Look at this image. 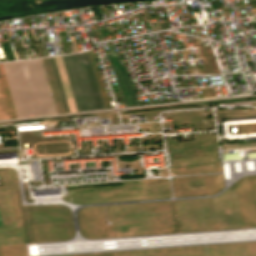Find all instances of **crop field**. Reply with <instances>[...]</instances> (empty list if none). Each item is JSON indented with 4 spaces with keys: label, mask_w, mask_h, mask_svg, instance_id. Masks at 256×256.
Masks as SVG:
<instances>
[{
    "label": "crop field",
    "mask_w": 256,
    "mask_h": 256,
    "mask_svg": "<svg viewBox=\"0 0 256 256\" xmlns=\"http://www.w3.org/2000/svg\"><path fill=\"white\" fill-rule=\"evenodd\" d=\"M0 72L2 76V78H0V87H1L5 104L8 110L9 117L10 118L17 117L1 64H0Z\"/></svg>",
    "instance_id": "f4fd0767"
},
{
    "label": "crop field",
    "mask_w": 256,
    "mask_h": 256,
    "mask_svg": "<svg viewBox=\"0 0 256 256\" xmlns=\"http://www.w3.org/2000/svg\"><path fill=\"white\" fill-rule=\"evenodd\" d=\"M106 43L110 52V55H107V56L110 61L111 67L113 69V72H114L117 84L119 86L120 92L122 94V97L124 99L125 105L126 106L140 105L135 96L131 81L126 73V70L124 66L121 65L118 61L117 55L114 51V47L110 46L109 42H106Z\"/></svg>",
    "instance_id": "ac0d7876"
},
{
    "label": "crop field",
    "mask_w": 256,
    "mask_h": 256,
    "mask_svg": "<svg viewBox=\"0 0 256 256\" xmlns=\"http://www.w3.org/2000/svg\"><path fill=\"white\" fill-rule=\"evenodd\" d=\"M58 113H65L49 58L42 59Z\"/></svg>",
    "instance_id": "34b2d1b8"
},
{
    "label": "crop field",
    "mask_w": 256,
    "mask_h": 256,
    "mask_svg": "<svg viewBox=\"0 0 256 256\" xmlns=\"http://www.w3.org/2000/svg\"><path fill=\"white\" fill-rule=\"evenodd\" d=\"M81 54H82V58H83L85 68H86V71H87V74H88V78H89V81H90V84H91V88H92V91H93V94H94V98H95V101H96V104H97V108L102 109L103 107H102V103H101V100H100L97 85H96V82H95V78H94V75H93V71H92V68H91L88 53L87 52H82Z\"/></svg>",
    "instance_id": "412701ff"
},
{
    "label": "crop field",
    "mask_w": 256,
    "mask_h": 256,
    "mask_svg": "<svg viewBox=\"0 0 256 256\" xmlns=\"http://www.w3.org/2000/svg\"><path fill=\"white\" fill-rule=\"evenodd\" d=\"M51 63H52V66H53V70H54V73H55V77H56V80H57V84H58V87H59V91H60V94H61V98H62V101H63V105H64V108H65V112L68 113V107H67V104H66V100H65V97H64V93H63V90H62V86H61V83H60V79H59V76H58V72H57V69H56V65H55V62H54V58L51 57Z\"/></svg>",
    "instance_id": "dd49c442"
},
{
    "label": "crop field",
    "mask_w": 256,
    "mask_h": 256,
    "mask_svg": "<svg viewBox=\"0 0 256 256\" xmlns=\"http://www.w3.org/2000/svg\"><path fill=\"white\" fill-rule=\"evenodd\" d=\"M77 109H97L80 53L61 56Z\"/></svg>",
    "instance_id": "8a807250"
},
{
    "label": "crop field",
    "mask_w": 256,
    "mask_h": 256,
    "mask_svg": "<svg viewBox=\"0 0 256 256\" xmlns=\"http://www.w3.org/2000/svg\"><path fill=\"white\" fill-rule=\"evenodd\" d=\"M0 226H3V225H2V221H1V217H0Z\"/></svg>",
    "instance_id": "e52e79f7"
}]
</instances>
